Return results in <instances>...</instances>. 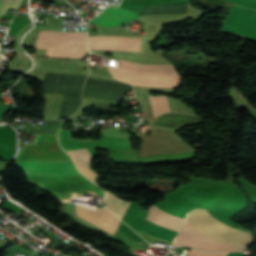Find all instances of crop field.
<instances>
[{
  "mask_svg": "<svg viewBox=\"0 0 256 256\" xmlns=\"http://www.w3.org/2000/svg\"><path fill=\"white\" fill-rule=\"evenodd\" d=\"M64 121L44 120L33 132L56 136ZM27 176L80 175L72 161L17 163Z\"/></svg>",
  "mask_w": 256,
  "mask_h": 256,
  "instance_id": "5",
  "label": "crop field"
},
{
  "mask_svg": "<svg viewBox=\"0 0 256 256\" xmlns=\"http://www.w3.org/2000/svg\"><path fill=\"white\" fill-rule=\"evenodd\" d=\"M76 214L83 219L99 226L103 230L114 234L116 231L120 220L116 218L110 211L106 208L99 210H89L80 205L76 208Z\"/></svg>",
  "mask_w": 256,
  "mask_h": 256,
  "instance_id": "7",
  "label": "crop field"
},
{
  "mask_svg": "<svg viewBox=\"0 0 256 256\" xmlns=\"http://www.w3.org/2000/svg\"><path fill=\"white\" fill-rule=\"evenodd\" d=\"M22 0H0V16L6 14L8 7L18 9Z\"/></svg>",
  "mask_w": 256,
  "mask_h": 256,
  "instance_id": "11",
  "label": "crop field"
},
{
  "mask_svg": "<svg viewBox=\"0 0 256 256\" xmlns=\"http://www.w3.org/2000/svg\"><path fill=\"white\" fill-rule=\"evenodd\" d=\"M136 14L123 10L108 7L103 11L98 17L90 21L96 25L105 26V27H115L123 23H127L132 19H136Z\"/></svg>",
  "mask_w": 256,
  "mask_h": 256,
  "instance_id": "8",
  "label": "crop field"
},
{
  "mask_svg": "<svg viewBox=\"0 0 256 256\" xmlns=\"http://www.w3.org/2000/svg\"><path fill=\"white\" fill-rule=\"evenodd\" d=\"M117 67L137 72H159V73H136L116 67H108L113 78L136 86L169 87L177 88L180 84V76L171 65H139L124 60L118 61Z\"/></svg>",
  "mask_w": 256,
  "mask_h": 256,
  "instance_id": "2",
  "label": "crop field"
},
{
  "mask_svg": "<svg viewBox=\"0 0 256 256\" xmlns=\"http://www.w3.org/2000/svg\"><path fill=\"white\" fill-rule=\"evenodd\" d=\"M145 220L154 225L176 233H178L183 222L182 218L169 215L157 209L153 205L150 206L149 215ZM186 220L195 229L217 241H221L223 243L243 249L253 244L252 233L224 225L221 222L215 220L211 215L207 213L206 210L193 209L188 213ZM186 220L183 228L173 242V247L184 245L209 251L241 250L239 248L225 245L210 239L206 235L196 231L191 225L187 223Z\"/></svg>",
  "mask_w": 256,
  "mask_h": 256,
  "instance_id": "1",
  "label": "crop field"
},
{
  "mask_svg": "<svg viewBox=\"0 0 256 256\" xmlns=\"http://www.w3.org/2000/svg\"><path fill=\"white\" fill-rule=\"evenodd\" d=\"M38 39L86 40L85 32L41 31ZM37 40L35 47L48 48L47 55L58 58H83L87 41Z\"/></svg>",
  "mask_w": 256,
  "mask_h": 256,
  "instance_id": "4",
  "label": "crop field"
},
{
  "mask_svg": "<svg viewBox=\"0 0 256 256\" xmlns=\"http://www.w3.org/2000/svg\"><path fill=\"white\" fill-rule=\"evenodd\" d=\"M154 116L163 112H170L166 96H149Z\"/></svg>",
  "mask_w": 256,
  "mask_h": 256,
  "instance_id": "10",
  "label": "crop field"
},
{
  "mask_svg": "<svg viewBox=\"0 0 256 256\" xmlns=\"http://www.w3.org/2000/svg\"><path fill=\"white\" fill-rule=\"evenodd\" d=\"M59 143L63 149L71 153L79 172L92 181L96 174L89 169L90 154L86 148L118 147L130 149L129 139L100 136L99 140H78L71 138V131L64 129L59 134Z\"/></svg>",
  "mask_w": 256,
  "mask_h": 256,
  "instance_id": "3",
  "label": "crop field"
},
{
  "mask_svg": "<svg viewBox=\"0 0 256 256\" xmlns=\"http://www.w3.org/2000/svg\"><path fill=\"white\" fill-rule=\"evenodd\" d=\"M221 254L222 253H207L203 251L190 249V251L186 254V256H220Z\"/></svg>",
  "mask_w": 256,
  "mask_h": 256,
  "instance_id": "12",
  "label": "crop field"
},
{
  "mask_svg": "<svg viewBox=\"0 0 256 256\" xmlns=\"http://www.w3.org/2000/svg\"><path fill=\"white\" fill-rule=\"evenodd\" d=\"M106 207L110 209L115 215L119 218H122L129 202L118 199L113 196L111 193L105 191V197L102 200Z\"/></svg>",
  "mask_w": 256,
  "mask_h": 256,
  "instance_id": "9",
  "label": "crop field"
},
{
  "mask_svg": "<svg viewBox=\"0 0 256 256\" xmlns=\"http://www.w3.org/2000/svg\"><path fill=\"white\" fill-rule=\"evenodd\" d=\"M141 38L119 36L89 37L90 49L139 52Z\"/></svg>",
  "mask_w": 256,
  "mask_h": 256,
  "instance_id": "6",
  "label": "crop field"
}]
</instances>
